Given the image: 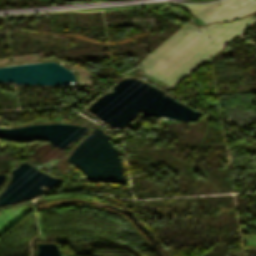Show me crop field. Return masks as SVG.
Wrapping results in <instances>:
<instances>
[{
    "mask_svg": "<svg viewBox=\"0 0 256 256\" xmlns=\"http://www.w3.org/2000/svg\"><path fill=\"white\" fill-rule=\"evenodd\" d=\"M251 21L252 19L246 17L226 25L216 23L200 28L187 23L142 59L136 68L157 77L173 88ZM199 31L202 33L199 34ZM211 42L213 44H210Z\"/></svg>",
    "mask_w": 256,
    "mask_h": 256,
    "instance_id": "obj_1",
    "label": "crop field"
},
{
    "mask_svg": "<svg viewBox=\"0 0 256 256\" xmlns=\"http://www.w3.org/2000/svg\"><path fill=\"white\" fill-rule=\"evenodd\" d=\"M218 4L220 6H217ZM218 4L206 7H184V9L207 23L228 22L256 11V0H227Z\"/></svg>",
    "mask_w": 256,
    "mask_h": 256,
    "instance_id": "obj_2",
    "label": "crop field"
}]
</instances>
